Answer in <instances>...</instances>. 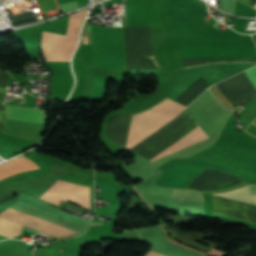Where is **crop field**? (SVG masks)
I'll return each instance as SVG.
<instances>
[{"mask_svg":"<svg viewBox=\"0 0 256 256\" xmlns=\"http://www.w3.org/2000/svg\"><path fill=\"white\" fill-rule=\"evenodd\" d=\"M137 28L147 68L158 70L153 59L149 28ZM91 32L94 65L109 68L110 63V68L126 69L127 62V69L147 70L136 27H124L126 62L123 27L106 28L109 63L105 27L91 25Z\"/></svg>","mask_w":256,"mask_h":256,"instance_id":"obj_1","label":"crop field"},{"mask_svg":"<svg viewBox=\"0 0 256 256\" xmlns=\"http://www.w3.org/2000/svg\"><path fill=\"white\" fill-rule=\"evenodd\" d=\"M184 108L185 106L177 104L166 98L152 109L134 115L132 118L126 149H130L135 144L162 127L174 116L178 115Z\"/></svg>","mask_w":256,"mask_h":256,"instance_id":"obj_2","label":"crop field"},{"mask_svg":"<svg viewBox=\"0 0 256 256\" xmlns=\"http://www.w3.org/2000/svg\"><path fill=\"white\" fill-rule=\"evenodd\" d=\"M87 9L70 14L67 36L43 31L42 53L45 61H69L76 47L81 20Z\"/></svg>","mask_w":256,"mask_h":256,"instance_id":"obj_3","label":"crop field"},{"mask_svg":"<svg viewBox=\"0 0 256 256\" xmlns=\"http://www.w3.org/2000/svg\"><path fill=\"white\" fill-rule=\"evenodd\" d=\"M7 209L13 212L19 213L21 215L30 217L32 219L38 220L40 222L46 223L48 225L54 226L56 228L62 229L64 231L70 232L72 234L77 232V231L62 227L60 225L45 221L43 219L37 218L35 216L29 215L27 213L21 212L19 210L13 209L11 207ZM8 210H3L0 213V233L10 238L20 235L23 225L42 231L54 237L71 235L70 233L64 232L62 230L56 229L54 227L48 226L46 224L40 223L38 221L21 216L19 214L13 213Z\"/></svg>","mask_w":256,"mask_h":256,"instance_id":"obj_4","label":"crop field"},{"mask_svg":"<svg viewBox=\"0 0 256 256\" xmlns=\"http://www.w3.org/2000/svg\"><path fill=\"white\" fill-rule=\"evenodd\" d=\"M88 187L58 180L40 198L59 205L65 199L77 206L90 210Z\"/></svg>","mask_w":256,"mask_h":256,"instance_id":"obj_5","label":"crop field"},{"mask_svg":"<svg viewBox=\"0 0 256 256\" xmlns=\"http://www.w3.org/2000/svg\"><path fill=\"white\" fill-rule=\"evenodd\" d=\"M6 114L7 118L10 119L36 123H45L46 118V112L43 109H31L12 105H6Z\"/></svg>","mask_w":256,"mask_h":256,"instance_id":"obj_6","label":"crop field"},{"mask_svg":"<svg viewBox=\"0 0 256 256\" xmlns=\"http://www.w3.org/2000/svg\"><path fill=\"white\" fill-rule=\"evenodd\" d=\"M206 138H208L207 134L204 132V130L199 125L188 135H186L185 137H183L182 139H180L179 141H177L176 143H174L173 145L168 147L166 150H164L162 153H160L159 155H157L155 158H153L150 161L153 162L157 159H160L164 156H167L171 153H174L178 150H181L187 146H190V145L197 143L201 140H204Z\"/></svg>","mask_w":256,"mask_h":256,"instance_id":"obj_7","label":"crop field"},{"mask_svg":"<svg viewBox=\"0 0 256 256\" xmlns=\"http://www.w3.org/2000/svg\"><path fill=\"white\" fill-rule=\"evenodd\" d=\"M214 195L256 205V186L252 185Z\"/></svg>","mask_w":256,"mask_h":256,"instance_id":"obj_8","label":"crop field"},{"mask_svg":"<svg viewBox=\"0 0 256 256\" xmlns=\"http://www.w3.org/2000/svg\"><path fill=\"white\" fill-rule=\"evenodd\" d=\"M209 86L200 77L195 83H193L181 96L175 101L187 106L192 102L200 93H202Z\"/></svg>","mask_w":256,"mask_h":256,"instance_id":"obj_9","label":"crop field"},{"mask_svg":"<svg viewBox=\"0 0 256 256\" xmlns=\"http://www.w3.org/2000/svg\"><path fill=\"white\" fill-rule=\"evenodd\" d=\"M173 193L180 194V201H204L202 194L197 191L173 189Z\"/></svg>","mask_w":256,"mask_h":256,"instance_id":"obj_10","label":"crop field"},{"mask_svg":"<svg viewBox=\"0 0 256 256\" xmlns=\"http://www.w3.org/2000/svg\"><path fill=\"white\" fill-rule=\"evenodd\" d=\"M243 130L253 136H256V118L249 125H247Z\"/></svg>","mask_w":256,"mask_h":256,"instance_id":"obj_11","label":"crop field"},{"mask_svg":"<svg viewBox=\"0 0 256 256\" xmlns=\"http://www.w3.org/2000/svg\"><path fill=\"white\" fill-rule=\"evenodd\" d=\"M147 256H164V255H160V254L149 251Z\"/></svg>","mask_w":256,"mask_h":256,"instance_id":"obj_12","label":"crop field"}]
</instances>
